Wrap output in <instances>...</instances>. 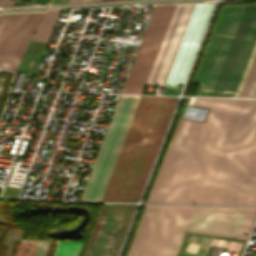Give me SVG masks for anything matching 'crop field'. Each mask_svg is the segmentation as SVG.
Listing matches in <instances>:
<instances>
[{
  "label": "crop field",
  "mask_w": 256,
  "mask_h": 256,
  "mask_svg": "<svg viewBox=\"0 0 256 256\" xmlns=\"http://www.w3.org/2000/svg\"><path fill=\"white\" fill-rule=\"evenodd\" d=\"M193 106L205 119H181L147 202L256 206V100Z\"/></svg>",
  "instance_id": "obj_1"
},
{
  "label": "crop field",
  "mask_w": 256,
  "mask_h": 256,
  "mask_svg": "<svg viewBox=\"0 0 256 256\" xmlns=\"http://www.w3.org/2000/svg\"><path fill=\"white\" fill-rule=\"evenodd\" d=\"M255 213L256 208L146 205L127 256H175L185 230L245 239Z\"/></svg>",
  "instance_id": "obj_2"
},
{
  "label": "crop field",
  "mask_w": 256,
  "mask_h": 256,
  "mask_svg": "<svg viewBox=\"0 0 256 256\" xmlns=\"http://www.w3.org/2000/svg\"><path fill=\"white\" fill-rule=\"evenodd\" d=\"M256 42V5L222 6L192 82L198 96L234 97Z\"/></svg>",
  "instance_id": "obj_3"
},
{
  "label": "crop field",
  "mask_w": 256,
  "mask_h": 256,
  "mask_svg": "<svg viewBox=\"0 0 256 256\" xmlns=\"http://www.w3.org/2000/svg\"><path fill=\"white\" fill-rule=\"evenodd\" d=\"M176 100L141 96L101 201L138 202Z\"/></svg>",
  "instance_id": "obj_4"
},
{
  "label": "crop field",
  "mask_w": 256,
  "mask_h": 256,
  "mask_svg": "<svg viewBox=\"0 0 256 256\" xmlns=\"http://www.w3.org/2000/svg\"><path fill=\"white\" fill-rule=\"evenodd\" d=\"M213 5H176L146 83L183 85Z\"/></svg>",
  "instance_id": "obj_5"
},
{
  "label": "crop field",
  "mask_w": 256,
  "mask_h": 256,
  "mask_svg": "<svg viewBox=\"0 0 256 256\" xmlns=\"http://www.w3.org/2000/svg\"><path fill=\"white\" fill-rule=\"evenodd\" d=\"M138 99L120 96L80 200H100Z\"/></svg>",
  "instance_id": "obj_6"
},
{
  "label": "crop field",
  "mask_w": 256,
  "mask_h": 256,
  "mask_svg": "<svg viewBox=\"0 0 256 256\" xmlns=\"http://www.w3.org/2000/svg\"><path fill=\"white\" fill-rule=\"evenodd\" d=\"M175 5L154 6L121 93L141 94Z\"/></svg>",
  "instance_id": "obj_7"
},
{
  "label": "crop field",
  "mask_w": 256,
  "mask_h": 256,
  "mask_svg": "<svg viewBox=\"0 0 256 256\" xmlns=\"http://www.w3.org/2000/svg\"><path fill=\"white\" fill-rule=\"evenodd\" d=\"M136 207L104 204L83 256H117Z\"/></svg>",
  "instance_id": "obj_8"
},
{
  "label": "crop field",
  "mask_w": 256,
  "mask_h": 256,
  "mask_svg": "<svg viewBox=\"0 0 256 256\" xmlns=\"http://www.w3.org/2000/svg\"><path fill=\"white\" fill-rule=\"evenodd\" d=\"M42 13L23 14L18 24L1 68L16 71L23 52L29 42L34 27Z\"/></svg>",
  "instance_id": "obj_9"
},
{
  "label": "crop field",
  "mask_w": 256,
  "mask_h": 256,
  "mask_svg": "<svg viewBox=\"0 0 256 256\" xmlns=\"http://www.w3.org/2000/svg\"><path fill=\"white\" fill-rule=\"evenodd\" d=\"M22 14L0 16V64Z\"/></svg>",
  "instance_id": "obj_10"
},
{
  "label": "crop field",
  "mask_w": 256,
  "mask_h": 256,
  "mask_svg": "<svg viewBox=\"0 0 256 256\" xmlns=\"http://www.w3.org/2000/svg\"><path fill=\"white\" fill-rule=\"evenodd\" d=\"M61 9L47 10L39 21L31 39L48 42Z\"/></svg>",
  "instance_id": "obj_11"
},
{
  "label": "crop field",
  "mask_w": 256,
  "mask_h": 256,
  "mask_svg": "<svg viewBox=\"0 0 256 256\" xmlns=\"http://www.w3.org/2000/svg\"><path fill=\"white\" fill-rule=\"evenodd\" d=\"M256 62V45L254 47L253 53L251 55V58L249 60V63L247 65L246 71L244 73V76L242 78V81L240 83L239 89L237 91V94L235 97H242L245 91V88L247 86L248 80L250 78V75L252 73L253 67ZM243 97H256V65L254 67L253 73L251 75V78L249 80L248 86L246 88L245 94Z\"/></svg>",
  "instance_id": "obj_12"
},
{
  "label": "crop field",
  "mask_w": 256,
  "mask_h": 256,
  "mask_svg": "<svg viewBox=\"0 0 256 256\" xmlns=\"http://www.w3.org/2000/svg\"><path fill=\"white\" fill-rule=\"evenodd\" d=\"M50 242L22 240L16 256H45ZM32 245V247H30Z\"/></svg>",
  "instance_id": "obj_13"
},
{
  "label": "crop field",
  "mask_w": 256,
  "mask_h": 256,
  "mask_svg": "<svg viewBox=\"0 0 256 256\" xmlns=\"http://www.w3.org/2000/svg\"><path fill=\"white\" fill-rule=\"evenodd\" d=\"M84 243L60 242L55 256H79Z\"/></svg>",
  "instance_id": "obj_14"
},
{
  "label": "crop field",
  "mask_w": 256,
  "mask_h": 256,
  "mask_svg": "<svg viewBox=\"0 0 256 256\" xmlns=\"http://www.w3.org/2000/svg\"><path fill=\"white\" fill-rule=\"evenodd\" d=\"M14 2L12 0H0V7L3 6H12Z\"/></svg>",
  "instance_id": "obj_15"
},
{
  "label": "crop field",
  "mask_w": 256,
  "mask_h": 256,
  "mask_svg": "<svg viewBox=\"0 0 256 256\" xmlns=\"http://www.w3.org/2000/svg\"><path fill=\"white\" fill-rule=\"evenodd\" d=\"M28 1L39 2V3H47V4H49V2H50L51 0H28Z\"/></svg>",
  "instance_id": "obj_16"
},
{
  "label": "crop field",
  "mask_w": 256,
  "mask_h": 256,
  "mask_svg": "<svg viewBox=\"0 0 256 256\" xmlns=\"http://www.w3.org/2000/svg\"><path fill=\"white\" fill-rule=\"evenodd\" d=\"M91 1H100V0H88L87 2H91Z\"/></svg>",
  "instance_id": "obj_17"
},
{
  "label": "crop field",
  "mask_w": 256,
  "mask_h": 256,
  "mask_svg": "<svg viewBox=\"0 0 256 256\" xmlns=\"http://www.w3.org/2000/svg\"><path fill=\"white\" fill-rule=\"evenodd\" d=\"M70 1H79V0H70Z\"/></svg>",
  "instance_id": "obj_18"
},
{
  "label": "crop field",
  "mask_w": 256,
  "mask_h": 256,
  "mask_svg": "<svg viewBox=\"0 0 256 256\" xmlns=\"http://www.w3.org/2000/svg\"><path fill=\"white\" fill-rule=\"evenodd\" d=\"M101 1H109V0H101Z\"/></svg>",
  "instance_id": "obj_19"
}]
</instances>
